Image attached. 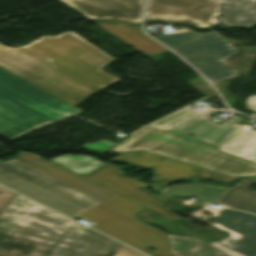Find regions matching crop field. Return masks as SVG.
I'll list each match as a JSON object with an SVG mask.
<instances>
[{
    "instance_id": "obj_11",
    "label": "crop field",
    "mask_w": 256,
    "mask_h": 256,
    "mask_svg": "<svg viewBox=\"0 0 256 256\" xmlns=\"http://www.w3.org/2000/svg\"><path fill=\"white\" fill-rule=\"evenodd\" d=\"M96 24L108 33L114 35L143 53H161L167 51V48L146 37L142 33L140 24L129 25L117 22H97Z\"/></svg>"
},
{
    "instance_id": "obj_7",
    "label": "crop field",
    "mask_w": 256,
    "mask_h": 256,
    "mask_svg": "<svg viewBox=\"0 0 256 256\" xmlns=\"http://www.w3.org/2000/svg\"><path fill=\"white\" fill-rule=\"evenodd\" d=\"M207 39L174 50L212 83L237 75L222 60L238 52L226 40L215 33H201Z\"/></svg>"
},
{
    "instance_id": "obj_24",
    "label": "crop field",
    "mask_w": 256,
    "mask_h": 256,
    "mask_svg": "<svg viewBox=\"0 0 256 256\" xmlns=\"http://www.w3.org/2000/svg\"><path fill=\"white\" fill-rule=\"evenodd\" d=\"M245 108L250 109L252 111H256V96L255 95H252L246 99Z\"/></svg>"
},
{
    "instance_id": "obj_8",
    "label": "crop field",
    "mask_w": 256,
    "mask_h": 256,
    "mask_svg": "<svg viewBox=\"0 0 256 256\" xmlns=\"http://www.w3.org/2000/svg\"><path fill=\"white\" fill-rule=\"evenodd\" d=\"M121 170L116 166L106 163L84 175V177L170 220L178 218V216L162 206L165 201L159 199L160 197L158 198L155 194L144 188L146 184L119 173Z\"/></svg>"
},
{
    "instance_id": "obj_1",
    "label": "crop field",
    "mask_w": 256,
    "mask_h": 256,
    "mask_svg": "<svg viewBox=\"0 0 256 256\" xmlns=\"http://www.w3.org/2000/svg\"><path fill=\"white\" fill-rule=\"evenodd\" d=\"M0 183L150 256H228L197 238L166 235L139 222L134 214L141 205L33 154L20 151L0 162Z\"/></svg>"
},
{
    "instance_id": "obj_23",
    "label": "crop field",
    "mask_w": 256,
    "mask_h": 256,
    "mask_svg": "<svg viewBox=\"0 0 256 256\" xmlns=\"http://www.w3.org/2000/svg\"><path fill=\"white\" fill-rule=\"evenodd\" d=\"M209 244L215 246L216 248L220 249L221 251L225 252L226 254H228L230 256H243V255H241V254H239V253H237V252H235L231 249H228V248L218 244L217 242H212V243H209Z\"/></svg>"
},
{
    "instance_id": "obj_22",
    "label": "crop field",
    "mask_w": 256,
    "mask_h": 256,
    "mask_svg": "<svg viewBox=\"0 0 256 256\" xmlns=\"http://www.w3.org/2000/svg\"><path fill=\"white\" fill-rule=\"evenodd\" d=\"M115 143L106 141V140H102L99 142H95V143H88V144H84L83 148H87V149H92V150H97V151H104L109 149L110 147H112Z\"/></svg>"
},
{
    "instance_id": "obj_3",
    "label": "crop field",
    "mask_w": 256,
    "mask_h": 256,
    "mask_svg": "<svg viewBox=\"0 0 256 256\" xmlns=\"http://www.w3.org/2000/svg\"><path fill=\"white\" fill-rule=\"evenodd\" d=\"M0 256H145L20 195L0 213Z\"/></svg>"
},
{
    "instance_id": "obj_15",
    "label": "crop field",
    "mask_w": 256,
    "mask_h": 256,
    "mask_svg": "<svg viewBox=\"0 0 256 256\" xmlns=\"http://www.w3.org/2000/svg\"><path fill=\"white\" fill-rule=\"evenodd\" d=\"M243 125L219 150L256 162V131Z\"/></svg>"
},
{
    "instance_id": "obj_5",
    "label": "crop field",
    "mask_w": 256,
    "mask_h": 256,
    "mask_svg": "<svg viewBox=\"0 0 256 256\" xmlns=\"http://www.w3.org/2000/svg\"><path fill=\"white\" fill-rule=\"evenodd\" d=\"M79 111L0 67V136L12 141Z\"/></svg>"
},
{
    "instance_id": "obj_16",
    "label": "crop field",
    "mask_w": 256,
    "mask_h": 256,
    "mask_svg": "<svg viewBox=\"0 0 256 256\" xmlns=\"http://www.w3.org/2000/svg\"><path fill=\"white\" fill-rule=\"evenodd\" d=\"M225 187H212L210 185L188 184L171 186L165 189L159 196L171 197L172 195L195 197L198 202L214 204L224 191Z\"/></svg>"
},
{
    "instance_id": "obj_14",
    "label": "crop field",
    "mask_w": 256,
    "mask_h": 256,
    "mask_svg": "<svg viewBox=\"0 0 256 256\" xmlns=\"http://www.w3.org/2000/svg\"><path fill=\"white\" fill-rule=\"evenodd\" d=\"M251 183H256V179H242L227 189L218 203L256 214V192L246 190Z\"/></svg>"
},
{
    "instance_id": "obj_17",
    "label": "crop field",
    "mask_w": 256,
    "mask_h": 256,
    "mask_svg": "<svg viewBox=\"0 0 256 256\" xmlns=\"http://www.w3.org/2000/svg\"><path fill=\"white\" fill-rule=\"evenodd\" d=\"M51 161L81 176L103 164L86 156L78 155H63Z\"/></svg>"
},
{
    "instance_id": "obj_12",
    "label": "crop field",
    "mask_w": 256,
    "mask_h": 256,
    "mask_svg": "<svg viewBox=\"0 0 256 256\" xmlns=\"http://www.w3.org/2000/svg\"><path fill=\"white\" fill-rule=\"evenodd\" d=\"M214 225L242 235L238 241L256 249V216L225 209L215 218Z\"/></svg>"
},
{
    "instance_id": "obj_6",
    "label": "crop field",
    "mask_w": 256,
    "mask_h": 256,
    "mask_svg": "<svg viewBox=\"0 0 256 256\" xmlns=\"http://www.w3.org/2000/svg\"><path fill=\"white\" fill-rule=\"evenodd\" d=\"M219 0H146L145 22L217 25Z\"/></svg>"
},
{
    "instance_id": "obj_9",
    "label": "crop field",
    "mask_w": 256,
    "mask_h": 256,
    "mask_svg": "<svg viewBox=\"0 0 256 256\" xmlns=\"http://www.w3.org/2000/svg\"><path fill=\"white\" fill-rule=\"evenodd\" d=\"M115 159L130 165L143 166L155 170L152 176L154 189L165 185L168 181H181L186 177L193 178L195 180L202 177L214 178L223 181L234 179V177L219 174L141 151L124 153Z\"/></svg>"
},
{
    "instance_id": "obj_10",
    "label": "crop field",
    "mask_w": 256,
    "mask_h": 256,
    "mask_svg": "<svg viewBox=\"0 0 256 256\" xmlns=\"http://www.w3.org/2000/svg\"><path fill=\"white\" fill-rule=\"evenodd\" d=\"M86 18L140 22L142 0H59Z\"/></svg>"
},
{
    "instance_id": "obj_21",
    "label": "crop field",
    "mask_w": 256,
    "mask_h": 256,
    "mask_svg": "<svg viewBox=\"0 0 256 256\" xmlns=\"http://www.w3.org/2000/svg\"><path fill=\"white\" fill-rule=\"evenodd\" d=\"M16 193L0 186V212L13 199Z\"/></svg>"
},
{
    "instance_id": "obj_19",
    "label": "crop field",
    "mask_w": 256,
    "mask_h": 256,
    "mask_svg": "<svg viewBox=\"0 0 256 256\" xmlns=\"http://www.w3.org/2000/svg\"><path fill=\"white\" fill-rule=\"evenodd\" d=\"M192 104H188L168 115H165L147 125L155 126V127H160V128H167L182 119L188 117L189 115L193 114L194 112L188 110L187 108L191 107Z\"/></svg>"
},
{
    "instance_id": "obj_18",
    "label": "crop field",
    "mask_w": 256,
    "mask_h": 256,
    "mask_svg": "<svg viewBox=\"0 0 256 256\" xmlns=\"http://www.w3.org/2000/svg\"><path fill=\"white\" fill-rule=\"evenodd\" d=\"M154 38L165 43L172 50L205 39V37L193 30L184 31L176 34L155 36Z\"/></svg>"
},
{
    "instance_id": "obj_2",
    "label": "crop field",
    "mask_w": 256,
    "mask_h": 256,
    "mask_svg": "<svg viewBox=\"0 0 256 256\" xmlns=\"http://www.w3.org/2000/svg\"><path fill=\"white\" fill-rule=\"evenodd\" d=\"M73 32L18 48L0 43V66L75 106L121 79L102 70L116 59Z\"/></svg>"
},
{
    "instance_id": "obj_4",
    "label": "crop field",
    "mask_w": 256,
    "mask_h": 256,
    "mask_svg": "<svg viewBox=\"0 0 256 256\" xmlns=\"http://www.w3.org/2000/svg\"><path fill=\"white\" fill-rule=\"evenodd\" d=\"M217 112L204 111L167 130L146 127L111 150H141L234 177L256 176V163L217 150L242 126L234 124L238 117L221 125L206 120Z\"/></svg>"
},
{
    "instance_id": "obj_20",
    "label": "crop field",
    "mask_w": 256,
    "mask_h": 256,
    "mask_svg": "<svg viewBox=\"0 0 256 256\" xmlns=\"http://www.w3.org/2000/svg\"><path fill=\"white\" fill-rule=\"evenodd\" d=\"M229 242H232L231 244ZM220 244L228 247V248H231L245 256H256V250L248 247V246H245L235 240H231L229 238H224ZM232 245H237L239 248H236V247H232Z\"/></svg>"
},
{
    "instance_id": "obj_13",
    "label": "crop field",
    "mask_w": 256,
    "mask_h": 256,
    "mask_svg": "<svg viewBox=\"0 0 256 256\" xmlns=\"http://www.w3.org/2000/svg\"><path fill=\"white\" fill-rule=\"evenodd\" d=\"M256 22V0H220L218 23L243 25Z\"/></svg>"
}]
</instances>
